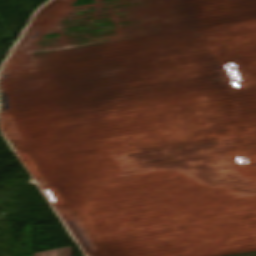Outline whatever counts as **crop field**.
Listing matches in <instances>:
<instances>
[{
  "instance_id": "obj_1",
  "label": "crop field",
  "mask_w": 256,
  "mask_h": 256,
  "mask_svg": "<svg viewBox=\"0 0 256 256\" xmlns=\"http://www.w3.org/2000/svg\"><path fill=\"white\" fill-rule=\"evenodd\" d=\"M59 250L60 249L41 252V253H35V254H33V256H59ZM61 256H72L71 255V247L62 248Z\"/></svg>"
}]
</instances>
